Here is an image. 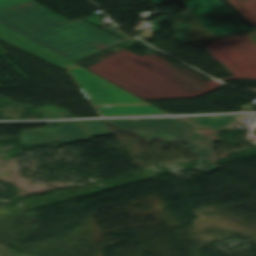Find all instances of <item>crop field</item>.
I'll return each mask as SVG.
<instances>
[{"label":"crop field","instance_id":"obj_1","mask_svg":"<svg viewBox=\"0 0 256 256\" xmlns=\"http://www.w3.org/2000/svg\"><path fill=\"white\" fill-rule=\"evenodd\" d=\"M0 23L73 62L132 39L121 40L80 19L69 22L35 2L0 10Z\"/></svg>","mask_w":256,"mask_h":256},{"label":"crop field","instance_id":"obj_2","mask_svg":"<svg viewBox=\"0 0 256 256\" xmlns=\"http://www.w3.org/2000/svg\"><path fill=\"white\" fill-rule=\"evenodd\" d=\"M155 5L182 1L190 11L168 15V23L178 37L188 44L247 28L218 0H150Z\"/></svg>","mask_w":256,"mask_h":256},{"label":"crop field","instance_id":"obj_3","mask_svg":"<svg viewBox=\"0 0 256 256\" xmlns=\"http://www.w3.org/2000/svg\"><path fill=\"white\" fill-rule=\"evenodd\" d=\"M106 124L122 131H133L142 139H149L158 136L164 140L181 139L188 146L193 147L192 152L200 155L198 170L207 173L218 169L214 165L215 154L190 139L182 136L191 127L175 119H132L105 121Z\"/></svg>","mask_w":256,"mask_h":256},{"label":"crop field","instance_id":"obj_4","mask_svg":"<svg viewBox=\"0 0 256 256\" xmlns=\"http://www.w3.org/2000/svg\"><path fill=\"white\" fill-rule=\"evenodd\" d=\"M104 121L59 123L56 128L48 127L21 133L24 146L62 141L63 144L89 140V137L110 135Z\"/></svg>","mask_w":256,"mask_h":256},{"label":"crop field","instance_id":"obj_5","mask_svg":"<svg viewBox=\"0 0 256 256\" xmlns=\"http://www.w3.org/2000/svg\"><path fill=\"white\" fill-rule=\"evenodd\" d=\"M68 72L83 94H91L89 98L95 106L147 104L79 66Z\"/></svg>","mask_w":256,"mask_h":256},{"label":"crop field","instance_id":"obj_6","mask_svg":"<svg viewBox=\"0 0 256 256\" xmlns=\"http://www.w3.org/2000/svg\"><path fill=\"white\" fill-rule=\"evenodd\" d=\"M249 115H235V116H216V117H200V118H184L179 119L192 126L189 132L184 134L199 144L214 151L216 140L201 133L200 131H218V130H234L232 124H236L235 120L249 119Z\"/></svg>","mask_w":256,"mask_h":256},{"label":"crop field","instance_id":"obj_7","mask_svg":"<svg viewBox=\"0 0 256 256\" xmlns=\"http://www.w3.org/2000/svg\"><path fill=\"white\" fill-rule=\"evenodd\" d=\"M0 40L11 44L21 50H24L34 56H37L49 63H52L62 69H68L76 66L75 64L63 59L62 57L46 50L45 48L31 42L30 40L14 33L13 31L0 25Z\"/></svg>","mask_w":256,"mask_h":256},{"label":"crop field","instance_id":"obj_8","mask_svg":"<svg viewBox=\"0 0 256 256\" xmlns=\"http://www.w3.org/2000/svg\"><path fill=\"white\" fill-rule=\"evenodd\" d=\"M98 111L103 116L166 114L150 105L101 107Z\"/></svg>","mask_w":256,"mask_h":256},{"label":"crop field","instance_id":"obj_9","mask_svg":"<svg viewBox=\"0 0 256 256\" xmlns=\"http://www.w3.org/2000/svg\"><path fill=\"white\" fill-rule=\"evenodd\" d=\"M37 109H40V111L43 113V118H47L46 116H49V118L68 117V115L74 117L71 113H67L65 109L55 106L46 105L31 111L36 112Z\"/></svg>","mask_w":256,"mask_h":256},{"label":"crop field","instance_id":"obj_10","mask_svg":"<svg viewBox=\"0 0 256 256\" xmlns=\"http://www.w3.org/2000/svg\"><path fill=\"white\" fill-rule=\"evenodd\" d=\"M117 28H118V27L113 26V27L105 28V29H103V30H105V31H107V32H109V33H111V34H113V35H115V36H117V37H119V38H121V39H124V38H126V37H129L127 34H125L124 32H122V31H120V30H118Z\"/></svg>","mask_w":256,"mask_h":256},{"label":"crop field","instance_id":"obj_11","mask_svg":"<svg viewBox=\"0 0 256 256\" xmlns=\"http://www.w3.org/2000/svg\"><path fill=\"white\" fill-rule=\"evenodd\" d=\"M31 0H0V8L27 2Z\"/></svg>","mask_w":256,"mask_h":256},{"label":"crop field","instance_id":"obj_12","mask_svg":"<svg viewBox=\"0 0 256 256\" xmlns=\"http://www.w3.org/2000/svg\"><path fill=\"white\" fill-rule=\"evenodd\" d=\"M84 20L87 21V22H89V23H91V24H93V25H95V26H97V27L102 26V23H101L102 18H101V16H99L98 14H96V15H94V16H91V17H89V18H86V19H84Z\"/></svg>","mask_w":256,"mask_h":256},{"label":"crop field","instance_id":"obj_13","mask_svg":"<svg viewBox=\"0 0 256 256\" xmlns=\"http://www.w3.org/2000/svg\"><path fill=\"white\" fill-rule=\"evenodd\" d=\"M142 38H152L154 36L153 32L139 33Z\"/></svg>","mask_w":256,"mask_h":256}]
</instances>
